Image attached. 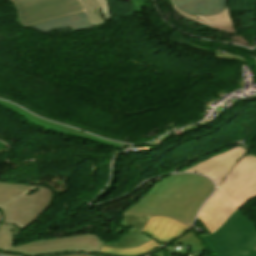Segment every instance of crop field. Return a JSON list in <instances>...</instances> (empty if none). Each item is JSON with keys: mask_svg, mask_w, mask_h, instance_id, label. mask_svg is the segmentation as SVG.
Listing matches in <instances>:
<instances>
[{"mask_svg": "<svg viewBox=\"0 0 256 256\" xmlns=\"http://www.w3.org/2000/svg\"><path fill=\"white\" fill-rule=\"evenodd\" d=\"M218 188L198 215L212 233L202 239L215 256H256V226L239 209L256 197V156L242 158Z\"/></svg>", "mask_w": 256, "mask_h": 256, "instance_id": "crop-field-1", "label": "crop field"}, {"mask_svg": "<svg viewBox=\"0 0 256 256\" xmlns=\"http://www.w3.org/2000/svg\"><path fill=\"white\" fill-rule=\"evenodd\" d=\"M214 185L192 174L172 175L158 182L149 193L124 214L167 216L188 226Z\"/></svg>", "mask_w": 256, "mask_h": 256, "instance_id": "crop-field-2", "label": "crop field"}, {"mask_svg": "<svg viewBox=\"0 0 256 256\" xmlns=\"http://www.w3.org/2000/svg\"><path fill=\"white\" fill-rule=\"evenodd\" d=\"M13 225L0 224V251L23 254L25 256H46L66 252H88L98 254L102 241L95 234L59 237L24 243L11 247L13 237L10 228Z\"/></svg>", "mask_w": 256, "mask_h": 256, "instance_id": "crop-field-3", "label": "crop field"}, {"mask_svg": "<svg viewBox=\"0 0 256 256\" xmlns=\"http://www.w3.org/2000/svg\"><path fill=\"white\" fill-rule=\"evenodd\" d=\"M41 186L25 184H9L0 182V188L19 189L30 191ZM53 192L47 188H40L34 194L26 195L12 204L2 208L4 222L14 224L21 230L35 221L50 205Z\"/></svg>", "mask_w": 256, "mask_h": 256, "instance_id": "crop-field-4", "label": "crop field"}, {"mask_svg": "<svg viewBox=\"0 0 256 256\" xmlns=\"http://www.w3.org/2000/svg\"><path fill=\"white\" fill-rule=\"evenodd\" d=\"M17 13V23L25 28L54 18L83 13L78 0H9Z\"/></svg>", "mask_w": 256, "mask_h": 256, "instance_id": "crop-field-5", "label": "crop field"}, {"mask_svg": "<svg viewBox=\"0 0 256 256\" xmlns=\"http://www.w3.org/2000/svg\"><path fill=\"white\" fill-rule=\"evenodd\" d=\"M248 151L243 147H234L213 156L183 171H193L209 176L218 186L234 164Z\"/></svg>", "mask_w": 256, "mask_h": 256, "instance_id": "crop-field-6", "label": "crop field"}, {"mask_svg": "<svg viewBox=\"0 0 256 256\" xmlns=\"http://www.w3.org/2000/svg\"><path fill=\"white\" fill-rule=\"evenodd\" d=\"M124 219L113 236H117L119 232L124 230L129 231L124 238H118V243H103L102 246L111 248H131L140 246L152 238L142 233V229L149 221L150 217L136 216V215H123Z\"/></svg>", "mask_w": 256, "mask_h": 256, "instance_id": "crop-field-7", "label": "crop field"}, {"mask_svg": "<svg viewBox=\"0 0 256 256\" xmlns=\"http://www.w3.org/2000/svg\"><path fill=\"white\" fill-rule=\"evenodd\" d=\"M187 229L188 226L170 218L151 217L143 232L153 237L154 240L166 244Z\"/></svg>", "mask_w": 256, "mask_h": 256, "instance_id": "crop-field-8", "label": "crop field"}, {"mask_svg": "<svg viewBox=\"0 0 256 256\" xmlns=\"http://www.w3.org/2000/svg\"><path fill=\"white\" fill-rule=\"evenodd\" d=\"M0 104L3 105V106H6L9 109H11L12 111L18 113L25 120H27L28 122H30L31 124H34L36 126H40V127L48 128V129H54V130H56L58 132H61V133H66V134H70V135L85 137V138H88V139H91L93 141H97V142H100V143L106 144V145H111V146H116V147H120V145H121V144H118V143L108 142V141H105L103 139H98L96 137H93V136H91L89 134H86L84 132L77 131L75 129H71V128H68V127H65V126H62V125H58V124L47 122V121L42 120V119H38V118L34 117L33 115H31V114L13 106V105H11L7 102L0 101Z\"/></svg>", "mask_w": 256, "mask_h": 256, "instance_id": "crop-field-9", "label": "crop field"}, {"mask_svg": "<svg viewBox=\"0 0 256 256\" xmlns=\"http://www.w3.org/2000/svg\"><path fill=\"white\" fill-rule=\"evenodd\" d=\"M175 5L192 15H214L222 12L227 0H173Z\"/></svg>", "mask_w": 256, "mask_h": 256, "instance_id": "crop-field-10", "label": "crop field"}, {"mask_svg": "<svg viewBox=\"0 0 256 256\" xmlns=\"http://www.w3.org/2000/svg\"><path fill=\"white\" fill-rule=\"evenodd\" d=\"M169 2L179 15L190 21L198 22L202 25H208L213 29L236 33L228 7L222 13L214 16H191L177 8L172 0H169Z\"/></svg>", "mask_w": 256, "mask_h": 256, "instance_id": "crop-field-11", "label": "crop field"}, {"mask_svg": "<svg viewBox=\"0 0 256 256\" xmlns=\"http://www.w3.org/2000/svg\"><path fill=\"white\" fill-rule=\"evenodd\" d=\"M68 26H70V29L73 32H77L82 29L91 27L85 13H83V14L54 19L43 24L32 26L30 28L36 29L38 31H41L47 34L53 30L68 27Z\"/></svg>", "mask_w": 256, "mask_h": 256, "instance_id": "crop-field-12", "label": "crop field"}, {"mask_svg": "<svg viewBox=\"0 0 256 256\" xmlns=\"http://www.w3.org/2000/svg\"><path fill=\"white\" fill-rule=\"evenodd\" d=\"M162 244L151 240L150 242L132 249H110V248H101L99 254L109 255V256H142L147 255L150 252L156 250L161 247Z\"/></svg>", "mask_w": 256, "mask_h": 256, "instance_id": "crop-field-13", "label": "crop field"}, {"mask_svg": "<svg viewBox=\"0 0 256 256\" xmlns=\"http://www.w3.org/2000/svg\"><path fill=\"white\" fill-rule=\"evenodd\" d=\"M87 12L92 26L101 25L104 19L101 16L100 7L96 0H80Z\"/></svg>", "mask_w": 256, "mask_h": 256, "instance_id": "crop-field-14", "label": "crop field"}, {"mask_svg": "<svg viewBox=\"0 0 256 256\" xmlns=\"http://www.w3.org/2000/svg\"><path fill=\"white\" fill-rule=\"evenodd\" d=\"M26 193L19 190L0 189V208L17 200Z\"/></svg>", "mask_w": 256, "mask_h": 256, "instance_id": "crop-field-15", "label": "crop field"}, {"mask_svg": "<svg viewBox=\"0 0 256 256\" xmlns=\"http://www.w3.org/2000/svg\"><path fill=\"white\" fill-rule=\"evenodd\" d=\"M97 1L100 4L102 15L106 19V21L109 20L110 18H112L111 14H110L108 1L107 0H97Z\"/></svg>", "mask_w": 256, "mask_h": 256, "instance_id": "crop-field-16", "label": "crop field"}, {"mask_svg": "<svg viewBox=\"0 0 256 256\" xmlns=\"http://www.w3.org/2000/svg\"><path fill=\"white\" fill-rule=\"evenodd\" d=\"M132 3H133V7H134V10L135 12H142V8L141 6H145L144 4V0H131Z\"/></svg>", "mask_w": 256, "mask_h": 256, "instance_id": "crop-field-17", "label": "crop field"}, {"mask_svg": "<svg viewBox=\"0 0 256 256\" xmlns=\"http://www.w3.org/2000/svg\"><path fill=\"white\" fill-rule=\"evenodd\" d=\"M216 57L217 58H225V59H233V60H238V61H242V62L248 63V62H246L245 60H243L241 58L230 56V55H226V54H222V53L216 54Z\"/></svg>", "mask_w": 256, "mask_h": 256, "instance_id": "crop-field-18", "label": "crop field"}, {"mask_svg": "<svg viewBox=\"0 0 256 256\" xmlns=\"http://www.w3.org/2000/svg\"><path fill=\"white\" fill-rule=\"evenodd\" d=\"M15 226H16V225H15ZM15 226H13V227L11 228V230H12V235H13V236H14L15 234L19 235V232L21 231L20 229H18V228L15 227ZM16 240H18V239H14V242H15Z\"/></svg>", "mask_w": 256, "mask_h": 256, "instance_id": "crop-field-19", "label": "crop field"}, {"mask_svg": "<svg viewBox=\"0 0 256 256\" xmlns=\"http://www.w3.org/2000/svg\"><path fill=\"white\" fill-rule=\"evenodd\" d=\"M196 127H199V126H191V127L185 128L184 131L189 130V129H193V128H196Z\"/></svg>", "mask_w": 256, "mask_h": 256, "instance_id": "crop-field-20", "label": "crop field"}]
</instances>
